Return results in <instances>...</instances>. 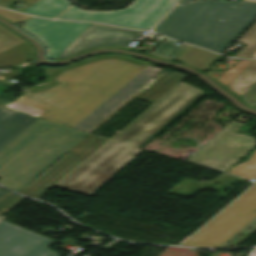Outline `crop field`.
<instances>
[{
  "label": "crop field",
  "mask_w": 256,
  "mask_h": 256,
  "mask_svg": "<svg viewBox=\"0 0 256 256\" xmlns=\"http://www.w3.org/2000/svg\"><path fill=\"white\" fill-rule=\"evenodd\" d=\"M23 62V50L19 46L0 54V66L19 65Z\"/></svg>",
  "instance_id": "obj_23"
},
{
  "label": "crop field",
  "mask_w": 256,
  "mask_h": 256,
  "mask_svg": "<svg viewBox=\"0 0 256 256\" xmlns=\"http://www.w3.org/2000/svg\"><path fill=\"white\" fill-rule=\"evenodd\" d=\"M243 1H247V2H255V3H256V0H243Z\"/></svg>",
  "instance_id": "obj_35"
},
{
  "label": "crop field",
  "mask_w": 256,
  "mask_h": 256,
  "mask_svg": "<svg viewBox=\"0 0 256 256\" xmlns=\"http://www.w3.org/2000/svg\"><path fill=\"white\" fill-rule=\"evenodd\" d=\"M0 33L5 35L7 38L11 39L18 45L25 42L22 38H20L18 35H16L14 32L9 30L8 28L4 27L3 25L0 24Z\"/></svg>",
  "instance_id": "obj_26"
},
{
  "label": "crop field",
  "mask_w": 256,
  "mask_h": 256,
  "mask_svg": "<svg viewBox=\"0 0 256 256\" xmlns=\"http://www.w3.org/2000/svg\"><path fill=\"white\" fill-rule=\"evenodd\" d=\"M1 81V80H0ZM2 82V81H1Z\"/></svg>",
  "instance_id": "obj_37"
},
{
  "label": "crop field",
  "mask_w": 256,
  "mask_h": 256,
  "mask_svg": "<svg viewBox=\"0 0 256 256\" xmlns=\"http://www.w3.org/2000/svg\"><path fill=\"white\" fill-rule=\"evenodd\" d=\"M23 50H24V55H25V62L34 59L33 51L30 47V45L26 42L22 45H20Z\"/></svg>",
  "instance_id": "obj_28"
},
{
  "label": "crop field",
  "mask_w": 256,
  "mask_h": 256,
  "mask_svg": "<svg viewBox=\"0 0 256 256\" xmlns=\"http://www.w3.org/2000/svg\"><path fill=\"white\" fill-rule=\"evenodd\" d=\"M56 242L0 219V256H59L50 249Z\"/></svg>",
  "instance_id": "obj_9"
},
{
  "label": "crop field",
  "mask_w": 256,
  "mask_h": 256,
  "mask_svg": "<svg viewBox=\"0 0 256 256\" xmlns=\"http://www.w3.org/2000/svg\"><path fill=\"white\" fill-rule=\"evenodd\" d=\"M82 162L67 152L19 193L37 198Z\"/></svg>",
  "instance_id": "obj_12"
},
{
  "label": "crop field",
  "mask_w": 256,
  "mask_h": 256,
  "mask_svg": "<svg viewBox=\"0 0 256 256\" xmlns=\"http://www.w3.org/2000/svg\"><path fill=\"white\" fill-rule=\"evenodd\" d=\"M6 89H8V87L0 85V94H2Z\"/></svg>",
  "instance_id": "obj_32"
},
{
  "label": "crop field",
  "mask_w": 256,
  "mask_h": 256,
  "mask_svg": "<svg viewBox=\"0 0 256 256\" xmlns=\"http://www.w3.org/2000/svg\"><path fill=\"white\" fill-rule=\"evenodd\" d=\"M218 57L219 55L214 53L188 46L177 56L175 60L191 64L203 71L209 68Z\"/></svg>",
  "instance_id": "obj_16"
},
{
  "label": "crop field",
  "mask_w": 256,
  "mask_h": 256,
  "mask_svg": "<svg viewBox=\"0 0 256 256\" xmlns=\"http://www.w3.org/2000/svg\"><path fill=\"white\" fill-rule=\"evenodd\" d=\"M106 58H117V59H121V60H124V61H128V62L137 64V65H140V66L145 67V68H147V67L150 66L149 64H147V63H145V62H140V61H137V60H135V59H132V58H129V57H126V56H123V55H104V56H99V57H93V58H89V59H86V60H83V61L74 63V64H72V65L63 67V68L44 67L43 69H44V72H45V75H46V79H47L48 84H44V85H40V86L31 87V88L28 89L27 91H29V92H39V91H42V90H45V89L54 87V86L57 85V82L55 81L54 78H55L58 74H60L63 70L75 68V67H78V66H81V65H84V64L93 62V61L102 60V59H106Z\"/></svg>",
  "instance_id": "obj_14"
},
{
  "label": "crop field",
  "mask_w": 256,
  "mask_h": 256,
  "mask_svg": "<svg viewBox=\"0 0 256 256\" xmlns=\"http://www.w3.org/2000/svg\"><path fill=\"white\" fill-rule=\"evenodd\" d=\"M36 120H38V118L0 108V150Z\"/></svg>",
  "instance_id": "obj_13"
},
{
  "label": "crop field",
  "mask_w": 256,
  "mask_h": 256,
  "mask_svg": "<svg viewBox=\"0 0 256 256\" xmlns=\"http://www.w3.org/2000/svg\"><path fill=\"white\" fill-rule=\"evenodd\" d=\"M107 141L108 139H104V138L89 134L69 152H71L77 158L84 161L91 154L96 152Z\"/></svg>",
  "instance_id": "obj_19"
},
{
  "label": "crop field",
  "mask_w": 256,
  "mask_h": 256,
  "mask_svg": "<svg viewBox=\"0 0 256 256\" xmlns=\"http://www.w3.org/2000/svg\"><path fill=\"white\" fill-rule=\"evenodd\" d=\"M255 19V3L203 0L177 6L154 31L222 53Z\"/></svg>",
  "instance_id": "obj_3"
},
{
  "label": "crop field",
  "mask_w": 256,
  "mask_h": 256,
  "mask_svg": "<svg viewBox=\"0 0 256 256\" xmlns=\"http://www.w3.org/2000/svg\"><path fill=\"white\" fill-rule=\"evenodd\" d=\"M145 68L106 59L63 71L58 85L23 94L17 101L45 111L40 118L75 128Z\"/></svg>",
  "instance_id": "obj_1"
},
{
  "label": "crop field",
  "mask_w": 256,
  "mask_h": 256,
  "mask_svg": "<svg viewBox=\"0 0 256 256\" xmlns=\"http://www.w3.org/2000/svg\"><path fill=\"white\" fill-rule=\"evenodd\" d=\"M243 125L244 123L234 121L187 161L220 171L229 167L256 144V139L252 136L234 134Z\"/></svg>",
  "instance_id": "obj_7"
},
{
  "label": "crop field",
  "mask_w": 256,
  "mask_h": 256,
  "mask_svg": "<svg viewBox=\"0 0 256 256\" xmlns=\"http://www.w3.org/2000/svg\"><path fill=\"white\" fill-rule=\"evenodd\" d=\"M151 67L142 72L138 77H136L132 82H130L126 87L76 127V129L90 133L114 112L121 108L148 83H150L153 80V77L162 71Z\"/></svg>",
  "instance_id": "obj_11"
},
{
  "label": "crop field",
  "mask_w": 256,
  "mask_h": 256,
  "mask_svg": "<svg viewBox=\"0 0 256 256\" xmlns=\"http://www.w3.org/2000/svg\"><path fill=\"white\" fill-rule=\"evenodd\" d=\"M86 135L39 119L0 151V183L18 192Z\"/></svg>",
  "instance_id": "obj_4"
},
{
  "label": "crop field",
  "mask_w": 256,
  "mask_h": 256,
  "mask_svg": "<svg viewBox=\"0 0 256 256\" xmlns=\"http://www.w3.org/2000/svg\"><path fill=\"white\" fill-rule=\"evenodd\" d=\"M17 1H19V0H11V1L8 2L6 5H4V7L9 8V7H11L13 4H15ZM21 1L26 2V3L33 4V3H35V2L38 1V0H21Z\"/></svg>",
  "instance_id": "obj_30"
},
{
  "label": "crop field",
  "mask_w": 256,
  "mask_h": 256,
  "mask_svg": "<svg viewBox=\"0 0 256 256\" xmlns=\"http://www.w3.org/2000/svg\"><path fill=\"white\" fill-rule=\"evenodd\" d=\"M21 28L31 32L47 48V58L55 60L91 24L51 21L33 17Z\"/></svg>",
  "instance_id": "obj_8"
},
{
  "label": "crop field",
  "mask_w": 256,
  "mask_h": 256,
  "mask_svg": "<svg viewBox=\"0 0 256 256\" xmlns=\"http://www.w3.org/2000/svg\"><path fill=\"white\" fill-rule=\"evenodd\" d=\"M184 78L185 77L165 73L148 88L137 95V97L153 104Z\"/></svg>",
  "instance_id": "obj_15"
},
{
  "label": "crop field",
  "mask_w": 256,
  "mask_h": 256,
  "mask_svg": "<svg viewBox=\"0 0 256 256\" xmlns=\"http://www.w3.org/2000/svg\"><path fill=\"white\" fill-rule=\"evenodd\" d=\"M245 103L256 107V84L241 97Z\"/></svg>",
  "instance_id": "obj_25"
},
{
  "label": "crop field",
  "mask_w": 256,
  "mask_h": 256,
  "mask_svg": "<svg viewBox=\"0 0 256 256\" xmlns=\"http://www.w3.org/2000/svg\"><path fill=\"white\" fill-rule=\"evenodd\" d=\"M191 0H180L179 3H185V2H189Z\"/></svg>",
  "instance_id": "obj_34"
},
{
  "label": "crop field",
  "mask_w": 256,
  "mask_h": 256,
  "mask_svg": "<svg viewBox=\"0 0 256 256\" xmlns=\"http://www.w3.org/2000/svg\"><path fill=\"white\" fill-rule=\"evenodd\" d=\"M183 49L184 47L177 46L174 42L165 39L150 55L173 61Z\"/></svg>",
  "instance_id": "obj_20"
},
{
  "label": "crop field",
  "mask_w": 256,
  "mask_h": 256,
  "mask_svg": "<svg viewBox=\"0 0 256 256\" xmlns=\"http://www.w3.org/2000/svg\"><path fill=\"white\" fill-rule=\"evenodd\" d=\"M206 94L185 83L180 84L57 186L90 195Z\"/></svg>",
  "instance_id": "obj_2"
},
{
  "label": "crop field",
  "mask_w": 256,
  "mask_h": 256,
  "mask_svg": "<svg viewBox=\"0 0 256 256\" xmlns=\"http://www.w3.org/2000/svg\"><path fill=\"white\" fill-rule=\"evenodd\" d=\"M21 75L22 74H21L20 70L18 69V70H15V71H12V72H9L6 74H2L1 76L5 78V79H3V81H6V80H9V79L21 76Z\"/></svg>",
  "instance_id": "obj_29"
},
{
  "label": "crop field",
  "mask_w": 256,
  "mask_h": 256,
  "mask_svg": "<svg viewBox=\"0 0 256 256\" xmlns=\"http://www.w3.org/2000/svg\"><path fill=\"white\" fill-rule=\"evenodd\" d=\"M176 0H134L128 8L118 11L95 12L70 8L58 19L99 21L128 28L151 29Z\"/></svg>",
  "instance_id": "obj_6"
},
{
  "label": "crop field",
  "mask_w": 256,
  "mask_h": 256,
  "mask_svg": "<svg viewBox=\"0 0 256 256\" xmlns=\"http://www.w3.org/2000/svg\"><path fill=\"white\" fill-rule=\"evenodd\" d=\"M69 7L67 0H40L23 12L48 18H55Z\"/></svg>",
  "instance_id": "obj_17"
},
{
  "label": "crop field",
  "mask_w": 256,
  "mask_h": 256,
  "mask_svg": "<svg viewBox=\"0 0 256 256\" xmlns=\"http://www.w3.org/2000/svg\"><path fill=\"white\" fill-rule=\"evenodd\" d=\"M225 210V209H224ZM219 215V214H218ZM256 218V185L194 235L187 246L218 247L238 234Z\"/></svg>",
  "instance_id": "obj_5"
},
{
  "label": "crop field",
  "mask_w": 256,
  "mask_h": 256,
  "mask_svg": "<svg viewBox=\"0 0 256 256\" xmlns=\"http://www.w3.org/2000/svg\"><path fill=\"white\" fill-rule=\"evenodd\" d=\"M227 172L246 178L248 180L256 178V150H254L249 160L232 169H229Z\"/></svg>",
  "instance_id": "obj_21"
},
{
  "label": "crop field",
  "mask_w": 256,
  "mask_h": 256,
  "mask_svg": "<svg viewBox=\"0 0 256 256\" xmlns=\"http://www.w3.org/2000/svg\"><path fill=\"white\" fill-rule=\"evenodd\" d=\"M10 40L4 37L2 34H0V53L17 46V43L15 44L13 43L14 41L12 42Z\"/></svg>",
  "instance_id": "obj_27"
},
{
  "label": "crop field",
  "mask_w": 256,
  "mask_h": 256,
  "mask_svg": "<svg viewBox=\"0 0 256 256\" xmlns=\"http://www.w3.org/2000/svg\"><path fill=\"white\" fill-rule=\"evenodd\" d=\"M248 256H256V248L251 249Z\"/></svg>",
  "instance_id": "obj_31"
},
{
  "label": "crop field",
  "mask_w": 256,
  "mask_h": 256,
  "mask_svg": "<svg viewBox=\"0 0 256 256\" xmlns=\"http://www.w3.org/2000/svg\"><path fill=\"white\" fill-rule=\"evenodd\" d=\"M247 45L244 51L238 56L250 58L256 52V23L239 39Z\"/></svg>",
  "instance_id": "obj_22"
},
{
  "label": "crop field",
  "mask_w": 256,
  "mask_h": 256,
  "mask_svg": "<svg viewBox=\"0 0 256 256\" xmlns=\"http://www.w3.org/2000/svg\"><path fill=\"white\" fill-rule=\"evenodd\" d=\"M251 58H256V53Z\"/></svg>",
  "instance_id": "obj_36"
},
{
  "label": "crop field",
  "mask_w": 256,
  "mask_h": 256,
  "mask_svg": "<svg viewBox=\"0 0 256 256\" xmlns=\"http://www.w3.org/2000/svg\"><path fill=\"white\" fill-rule=\"evenodd\" d=\"M142 32L127 31L102 24H92L65 52L57 59L75 53L103 46L124 47L135 40Z\"/></svg>",
  "instance_id": "obj_10"
},
{
  "label": "crop field",
  "mask_w": 256,
  "mask_h": 256,
  "mask_svg": "<svg viewBox=\"0 0 256 256\" xmlns=\"http://www.w3.org/2000/svg\"><path fill=\"white\" fill-rule=\"evenodd\" d=\"M22 197L8 193L2 199H0V216L17 203Z\"/></svg>",
  "instance_id": "obj_24"
},
{
  "label": "crop field",
  "mask_w": 256,
  "mask_h": 256,
  "mask_svg": "<svg viewBox=\"0 0 256 256\" xmlns=\"http://www.w3.org/2000/svg\"><path fill=\"white\" fill-rule=\"evenodd\" d=\"M256 83V61L246 68L227 87L240 97Z\"/></svg>",
  "instance_id": "obj_18"
},
{
  "label": "crop field",
  "mask_w": 256,
  "mask_h": 256,
  "mask_svg": "<svg viewBox=\"0 0 256 256\" xmlns=\"http://www.w3.org/2000/svg\"><path fill=\"white\" fill-rule=\"evenodd\" d=\"M8 192L3 191L0 189V198H2L5 194H7ZM6 196V195H5Z\"/></svg>",
  "instance_id": "obj_33"
}]
</instances>
